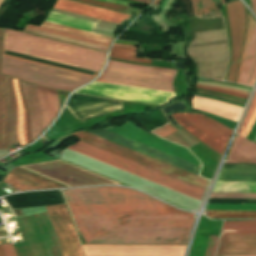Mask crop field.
<instances>
[{
    "instance_id": "crop-field-27",
    "label": "crop field",
    "mask_w": 256,
    "mask_h": 256,
    "mask_svg": "<svg viewBox=\"0 0 256 256\" xmlns=\"http://www.w3.org/2000/svg\"><path fill=\"white\" fill-rule=\"evenodd\" d=\"M256 56V22L254 21L253 31L249 42L240 84L246 85Z\"/></svg>"
},
{
    "instance_id": "crop-field-37",
    "label": "crop field",
    "mask_w": 256,
    "mask_h": 256,
    "mask_svg": "<svg viewBox=\"0 0 256 256\" xmlns=\"http://www.w3.org/2000/svg\"><path fill=\"white\" fill-rule=\"evenodd\" d=\"M252 26H253V18L249 15V28H248L247 39H246V43H245V48H244V53H243V58H242V62H241V67H240V72H239V77H238L237 83L239 82V78H240V75H241L242 66H243V62H244V58H245L249 38H250V35H251V31H252Z\"/></svg>"
},
{
    "instance_id": "crop-field-36",
    "label": "crop field",
    "mask_w": 256,
    "mask_h": 256,
    "mask_svg": "<svg viewBox=\"0 0 256 256\" xmlns=\"http://www.w3.org/2000/svg\"><path fill=\"white\" fill-rule=\"evenodd\" d=\"M219 236H210L205 256H215Z\"/></svg>"
},
{
    "instance_id": "crop-field-6",
    "label": "crop field",
    "mask_w": 256,
    "mask_h": 256,
    "mask_svg": "<svg viewBox=\"0 0 256 256\" xmlns=\"http://www.w3.org/2000/svg\"><path fill=\"white\" fill-rule=\"evenodd\" d=\"M25 62V61H24ZM2 57L1 74L71 92L91 78Z\"/></svg>"
},
{
    "instance_id": "crop-field-9",
    "label": "crop field",
    "mask_w": 256,
    "mask_h": 256,
    "mask_svg": "<svg viewBox=\"0 0 256 256\" xmlns=\"http://www.w3.org/2000/svg\"><path fill=\"white\" fill-rule=\"evenodd\" d=\"M75 93L157 105L168 103L169 99L175 96V94L171 92L99 82H93Z\"/></svg>"
},
{
    "instance_id": "crop-field-41",
    "label": "crop field",
    "mask_w": 256,
    "mask_h": 256,
    "mask_svg": "<svg viewBox=\"0 0 256 256\" xmlns=\"http://www.w3.org/2000/svg\"><path fill=\"white\" fill-rule=\"evenodd\" d=\"M255 119H256V110L252 116V118L250 119L246 129L244 130V132L242 133V136H244L246 138V136L248 135V133L250 132L254 122H255ZM241 135V134H240Z\"/></svg>"
},
{
    "instance_id": "crop-field-19",
    "label": "crop field",
    "mask_w": 256,
    "mask_h": 256,
    "mask_svg": "<svg viewBox=\"0 0 256 256\" xmlns=\"http://www.w3.org/2000/svg\"><path fill=\"white\" fill-rule=\"evenodd\" d=\"M27 27L53 33V34L66 36V37H71V38H75V39H79V40H83V41H87V42H91V43H95V44H99L107 47L112 41L110 37L86 32V31H82V30L46 22V21L43 22L41 27L30 25V24H28Z\"/></svg>"
},
{
    "instance_id": "crop-field-11",
    "label": "crop field",
    "mask_w": 256,
    "mask_h": 256,
    "mask_svg": "<svg viewBox=\"0 0 256 256\" xmlns=\"http://www.w3.org/2000/svg\"><path fill=\"white\" fill-rule=\"evenodd\" d=\"M85 256H183L186 246L82 245Z\"/></svg>"
},
{
    "instance_id": "crop-field-47",
    "label": "crop field",
    "mask_w": 256,
    "mask_h": 256,
    "mask_svg": "<svg viewBox=\"0 0 256 256\" xmlns=\"http://www.w3.org/2000/svg\"><path fill=\"white\" fill-rule=\"evenodd\" d=\"M133 1H137V2H141V3L150 4V2H151L152 0H133Z\"/></svg>"
},
{
    "instance_id": "crop-field-16",
    "label": "crop field",
    "mask_w": 256,
    "mask_h": 256,
    "mask_svg": "<svg viewBox=\"0 0 256 256\" xmlns=\"http://www.w3.org/2000/svg\"><path fill=\"white\" fill-rule=\"evenodd\" d=\"M4 181L21 191L68 187L19 167L9 172Z\"/></svg>"
},
{
    "instance_id": "crop-field-28",
    "label": "crop field",
    "mask_w": 256,
    "mask_h": 256,
    "mask_svg": "<svg viewBox=\"0 0 256 256\" xmlns=\"http://www.w3.org/2000/svg\"><path fill=\"white\" fill-rule=\"evenodd\" d=\"M212 192L256 193V183L217 182Z\"/></svg>"
},
{
    "instance_id": "crop-field-22",
    "label": "crop field",
    "mask_w": 256,
    "mask_h": 256,
    "mask_svg": "<svg viewBox=\"0 0 256 256\" xmlns=\"http://www.w3.org/2000/svg\"><path fill=\"white\" fill-rule=\"evenodd\" d=\"M18 103V136L21 146L30 143V120L26 102L24 100L20 83L13 79Z\"/></svg>"
},
{
    "instance_id": "crop-field-3",
    "label": "crop field",
    "mask_w": 256,
    "mask_h": 256,
    "mask_svg": "<svg viewBox=\"0 0 256 256\" xmlns=\"http://www.w3.org/2000/svg\"><path fill=\"white\" fill-rule=\"evenodd\" d=\"M68 149L91 157L128 173L134 174L176 192L182 193L197 200H201L204 189L181 181L149 167L143 166L106 150L100 149L83 141Z\"/></svg>"
},
{
    "instance_id": "crop-field-13",
    "label": "crop field",
    "mask_w": 256,
    "mask_h": 256,
    "mask_svg": "<svg viewBox=\"0 0 256 256\" xmlns=\"http://www.w3.org/2000/svg\"><path fill=\"white\" fill-rule=\"evenodd\" d=\"M105 129L201 166L200 162L189 150L151 136L129 122H126L121 127H107Z\"/></svg>"
},
{
    "instance_id": "crop-field-30",
    "label": "crop field",
    "mask_w": 256,
    "mask_h": 256,
    "mask_svg": "<svg viewBox=\"0 0 256 256\" xmlns=\"http://www.w3.org/2000/svg\"><path fill=\"white\" fill-rule=\"evenodd\" d=\"M110 57L125 59V60H132V61L143 62V63L151 62V60H148V59L136 58V50H131V49H122V48L112 47Z\"/></svg>"
},
{
    "instance_id": "crop-field-42",
    "label": "crop field",
    "mask_w": 256,
    "mask_h": 256,
    "mask_svg": "<svg viewBox=\"0 0 256 256\" xmlns=\"http://www.w3.org/2000/svg\"><path fill=\"white\" fill-rule=\"evenodd\" d=\"M255 80H256V60H255L254 67H253V70H252L251 75L249 77L247 85L253 86L254 83H255Z\"/></svg>"
},
{
    "instance_id": "crop-field-20",
    "label": "crop field",
    "mask_w": 256,
    "mask_h": 256,
    "mask_svg": "<svg viewBox=\"0 0 256 256\" xmlns=\"http://www.w3.org/2000/svg\"><path fill=\"white\" fill-rule=\"evenodd\" d=\"M20 83L30 112L31 138L34 141L44 131L37 87L22 81Z\"/></svg>"
},
{
    "instance_id": "crop-field-49",
    "label": "crop field",
    "mask_w": 256,
    "mask_h": 256,
    "mask_svg": "<svg viewBox=\"0 0 256 256\" xmlns=\"http://www.w3.org/2000/svg\"><path fill=\"white\" fill-rule=\"evenodd\" d=\"M161 0H155L153 5L158 6Z\"/></svg>"
},
{
    "instance_id": "crop-field-34",
    "label": "crop field",
    "mask_w": 256,
    "mask_h": 256,
    "mask_svg": "<svg viewBox=\"0 0 256 256\" xmlns=\"http://www.w3.org/2000/svg\"><path fill=\"white\" fill-rule=\"evenodd\" d=\"M210 198H239V199H256V194H240V193H212Z\"/></svg>"
},
{
    "instance_id": "crop-field-44",
    "label": "crop field",
    "mask_w": 256,
    "mask_h": 256,
    "mask_svg": "<svg viewBox=\"0 0 256 256\" xmlns=\"http://www.w3.org/2000/svg\"><path fill=\"white\" fill-rule=\"evenodd\" d=\"M197 85H199V86H209V85H200V84H197ZM210 87L221 88V89H225V90H229V91H233V92H237V93H242V94L249 95L248 92H244V91H240V90H235V89H230V88H224V87H218V86H210Z\"/></svg>"
},
{
    "instance_id": "crop-field-32",
    "label": "crop field",
    "mask_w": 256,
    "mask_h": 256,
    "mask_svg": "<svg viewBox=\"0 0 256 256\" xmlns=\"http://www.w3.org/2000/svg\"><path fill=\"white\" fill-rule=\"evenodd\" d=\"M207 210H251V211H256V205L208 204Z\"/></svg>"
},
{
    "instance_id": "crop-field-48",
    "label": "crop field",
    "mask_w": 256,
    "mask_h": 256,
    "mask_svg": "<svg viewBox=\"0 0 256 256\" xmlns=\"http://www.w3.org/2000/svg\"><path fill=\"white\" fill-rule=\"evenodd\" d=\"M113 46H122V47H132V48H136V46H128V45H117V44H113Z\"/></svg>"
},
{
    "instance_id": "crop-field-26",
    "label": "crop field",
    "mask_w": 256,
    "mask_h": 256,
    "mask_svg": "<svg viewBox=\"0 0 256 256\" xmlns=\"http://www.w3.org/2000/svg\"><path fill=\"white\" fill-rule=\"evenodd\" d=\"M240 158H256V144L239 135L234 143L229 160Z\"/></svg>"
},
{
    "instance_id": "crop-field-15",
    "label": "crop field",
    "mask_w": 256,
    "mask_h": 256,
    "mask_svg": "<svg viewBox=\"0 0 256 256\" xmlns=\"http://www.w3.org/2000/svg\"><path fill=\"white\" fill-rule=\"evenodd\" d=\"M52 11L61 13V14H65V15H69V16H74V17L94 21L97 23L95 24L94 22H90V21H86V20H82V19H78V18H73V17H69V16H65V15H61V14H57V13H53V12L49 13V15L45 19L46 21H50V22L86 30V31H89L92 28V26L95 24L93 26V28L90 30L91 32H95V33H99V34H103V35H107V36H111V37L113 36L116 26H117L116 24H112V23H108V22H104V21H100V20H96V19H92V18H88V17H83V16H79V15H75V14H71V13H67V12H63V11H59V10H55V9H52Z\"/></svg>"
},
{
    "instance_id": "crop-field-24",
    "label": "crop field",
    "mask_w": 256,
    "mask_h": 256,
    "mask_svg": "<svg viewBox=\"0 0 256 256\" xmlns=\"http://www.w3.org/2000/svg\"><path fill=\"white\" fill-rule=\"evenodd\" d=\"M6 95L8 103V128L10 146L18 143L17 136V104L13 90L12 78L7 76L6 80ZM9 138H8V151H9Z\"/></svg>"
},
{
    "instance_id": "crop-field-5",
    "label": "crop field",
    "mask_w": 256,
    "mask_h": 256,
    "mask_svg": "<svg viewBox=\"0 0 256 256\" xmlns=\"http://www.w3.org/2000/svg\"><path fill=\"white\" fill-rule=\"evenodd\" d=\"M48 256H62L48 213L34 215ZM34 216L15 219L23 243L13 244L17 256H47Z\"/></svg>"
},
{
    "instance_id": "crop-field-17",
    "label": "crop field",
    "mask_w": 256,
    "mask_h": 256,
    "mask_svg": "<svg viewBox=\"0 0 256 256\" xmlns=\"http://www.w3.org/2000/svg\"><path fill=\"white\" fill-rule=\"evenodd\" d=\"M256 254V234L221 236L216 256Z\"/></svg>"
},
{
    "instance_id": "crop-field-1",
    "label": "crop field",
    "mask_w": 256,
    "mask_h": 256,
    "mask_svg": "<svg viewBox=\"0 0 256 256\" xmlns=\"http://www.w3.org/2000/svg\"><path fill=\"white\" fill-rule=\"evenodd\" d=\"M63 192L86 244H187L193 214L126 188Z\"/></svg>"
},
{
    "instance_id": "crop-field-46",
    "label": "crop field",
    "mask_w": 256,
    "mask_h": 256,
    "mask_svg": "<svg viewBox=\"0 0 256 256\" xmlns=\"http://www.w3.org/2000/svg\"><path fill=\"white\" fill-rule=\"evenodd\" d=\"M250 2H251V5H252L254 11L256 12V0H250Z\"/></svg>"
},
{
    "instance_id": "crop-field-45",
    "label": "crop field",
    "mask_w": 256,
    "mask_h": 256,
    "mask_svg": "<svg viewBox=\"0 0 256 256\" xmlns=\"http://www.w3.org/2000/svg\"><path fill=\"white\" fill-rule=\"evenodd\" d=\"M101 1L112 2V3H117V4H121V5H126V6L132 5V4H129V3L118 2V1H112V0H101Z\"/></svg>"
},
{
    "instance_id": "crop-field-23",
    "label": "crop field",
    "mask_w": 256,
    "mask_h": 256,
    "mask_svg": "<svg viewBox=\"0 0 256 256\" xmlns=\"http://www.w3.org/2000/svg\"><path fill=\"white\" fill-rule=\"evenodd\" d=\"M40 105L42 110L44 128L50 124L60 111L57 92L54 89L38 86Z\"/></svg>"
},
{
    "instance_id": "crop-field-14",
    "label": "crop field",
    "mask_w": 256,
    "mask_h": 256,
    "mask_svg": "<svg viewBox=\"0 0 256 256\" xmlns=\"http://www.w3.org/2000/svg\"><path fill=\"white\" fill-rule=\"evenodd\" d=\"M225 6L232 40V61L227 82H235L243 42L245 12L240 1L226 3Z\"/></svg>"
},
{
    "instance_id": "crop-field-50",
    "label": "crop field",
    "mask_w": 256,
    "mask_h": 256,
    "mask_svg": "<svg viewBox=\"0 0 256 256\" xmlns=\"http://www.w3.org/2000/svg\"><path fill=\"white\" fill-rule=\"evenodd\" d=\"M0 256H4V253H3V251H2L1 244H0Z\"/></svg>"
},
{
    "instance_id": "crop-field-35",
    "label": "crop field",
    "mask_w": 256,
    "mask_h": 256,
    "mask_svg": "<svg viewBox=\"0 0 256 256\" xmlns=\"http://www.w3.org/2000/svg\"><path fill=\"white\" fill-rule=\"evenodd\" d=\"M255 107H256V92H255V94H254V96L252 98V101H251V103H250V105L248 107V110H247V112L245 114V117H244V119L242 121V124H241V126H240V128H239V130L237 132L238 134L242 133V131L245 128L246 124L248 123V121H249V119H250V117H251Z\"/></svg>"
},
{
    "instance_id": "crop-field-31",
    "label": "crop field",
    "mask_w": 256,
    "mask_h": 256,
    "mask_svg": "<svg viewBox=\"0 0 256 256\" xmlns=\"http://www.w3.org/2000/svg\"><path fill=\"white\" fill-rule=\"evenodd\" d=\"M207 216L222 218H255L256 212L247 211H207Z\"/></svg>"
},
{
    "instance_id": "crop-field-39",
    "label": "crop field",
    "mask_w": 256,
    "mask_h": 256,
    "mask_svg": "<svg viewBox=\"0 0 256 256\" xmlns=\"http://www.w3.org/2000/svg\"><path fill=\"white\" fill-rule=\"evenodd\" d=\"M176 132L169 124L153 131V133L157 134L158 136L164 138L172 133Z\"/></svg>"
},
{
    "instance_id": "crop-field-33",
    "label": "crop field",
    "mask_w": 256,
    "mask_h": 256,
    "mask_svg": "<svg viewBox=\"0 0 256 256\" xmlns=\"http://www.w3.org/2000/svg\"><path fill=\"white\" fill-rule=\"evenodd\" d=\"M83 3H88V4H93L99 7H104V8H109L118 12L124 13L126 11L127 7L126 6H121L117 4H111V3H105V2H100L96 0H75Z\"/></svg>"
},
{
    "instance_id": "crop-field-43",
    "label": "crop field",
    "mask_w": 256,
    "mask_h": 256,
    "mask_svg": "<svg viewBox=\"0 0 256 256\" xmlns=\"http://www.w3.org/2000/svg\"><path fill=\"white\" fill-rule=\"evenodd\" d=\"M226 163H250L256 164V159H240V160H231Z\"/></svg>"
},
{
    "instance_id": "crop-field-8",
    "label": "crop field",
    "mask_w": 256,
    "mask_h": 256,
    "mask_svg": "<svg viewBox=\"0 0 256 256\" xmlns=\"http://www.w3.org/2000/svg\"><path fill=\"white\" fill-rule=\"evenodd\" d=\"M172 117L190 134L222 154L233 130L204 115L173 114Z\"/></svg>"
},
{
    "instance_id": "crop-field-7",
    "label": "crop field",
    "mask_w": 256,
    "mask_h": 256,
    "mask_svg": "<svg viewBox=\"0 0 256 256\" xmlns=\"http://www.w3.org/2000/svg\"><path fill=\"white\" fill-rule=\"evenodd\" d=\"M21 168L27 169L68 186L119 184L62 160L21 166Z\"/></svg>"
},
{
    "instance_id": "crop-field-21",
    "label": "crop field",
    "mask_w": 256,
    "mask_h": 256,
    "mask_svg": "<svg viewBox=\"0 0 256 256\" xmlns=\"http://www.w3.org/2000/svg\"><path fill=\"white\" fill-rule=\"evenodd\" d=\"M192 104L194 109L202 110L205 112H209L232 121H237L242 108L237 106L208 100L200 97H193Z\"/></svg>"
},
{
    "instance_id": "crop-field-51",
    "label": "crop field",
    "mask_w": 256,
    "mask_h": 256,
    "mask_svg": "<svg viewBox=\"0 0 256 256\" xmlns=\"http://www.w3.org/2000/svg\"><path fill=\"white\" fill-rule=\"evenodd\" d=\"M249 256H256V255H249Z\"/></svg>"
},
{
    "instance_id": "crop-field-18",
    "label": "crop field",
    "mask_w": 256,
    "mask_h": 256,
    "mask_svg": "<svg viewBox=\"0 0 256 256\" xmlns=\"http://www.w3.org/2000/svg\"><path fill=\"white\" fill-rule=\"evenodd\" d=\"M55 9L83 15V16H88L112 23L119 24V22L123 19L129 18L128 15L68 1V0H57L55 6Z\"/></svg>"
},
{
    "instance_id": "crop-field-10",
    "label": "crop field",
    "mask_w": 256,
    "mask_h": 256,
    "mask_svg": "<svg viewBox=\"0 0 256 256\" xmlns=\"http://www.w3.org/2000/svg\"><path fill=\"white\" fill-rule=\"evenodd\" d=\"M71 134L81 140L88 142V143H91L93 145H96L98 147L106 149V150L116 153L118 155L124 156L126 158H129L131 160H134L136 162H139L141 164H144L146 166H149L151 168H154L156 170H159V171L169 174L171 176H174L176 178L182 179L184 181H187L189 183H192V184L202 187L204 189L206 188V186L209 182L200 177L194 176L192 174H189L187 172H184V171L174 168L172 166L166 165L164 163H161L159 161H156V160L146 157L144 155L138 154L136 152H133L131 150H128L126 148L118 146L116 144H113V143H110L103 139H100L88 132L86 133V132L82 131V132H75V133H71Z\"/></svg>"
},
{
    "instance_id": "crop-field-40",
    "label": "crop field",
    "mask_w": 256,
    "mask_h": 256,
    "mask_svg": "<svg viewBox=\"0 0 256 256\" xmlns=\"http://www.w3.org/2000/svg\"><path fill=\"white\" fill-rule=\"evenodd\" d=\"M5 256H16L15 250L12 244L2 245Z\"/></svg>"
},
{
    "instance_id": "crop-field-25",
    "label": "crop field",
    "mask_w": 256,
    "mask_h": 256,
    "mask_svg": "<svg viewBox=\"0 0 256 256\" xmlns=\"http://www.w3.org/2000/svg\"><path fill=\"white\" fill-rule=\"evenodd\" d=\"M4 28H0V64L2 55V38ZM5 75L0 74V149H7V104L5 96Z\"/></svg>"
},
{
    "instance_id": "crop-field-29",
    "label": "crop field",
    "mask_w": 256,
    "mask_h": 256,
    "mask_svg": "<svg viewBox=\"0 0 256 256\" xmlns=\"http://www.w3.org/2000/svg\"><path fill=\"white\" fill-rule=\"evenodd\" d=\"M253 228H256V220L225 222L223 230H241V229H253ZM247 233H256V229L235 231L234 234H247Z\"/></svg>"
},
{
    "instance_id": "crop-field-38",
    "label": "crop field",
    "mask_w": 256,
    "mask_h": 256,
    "mask_svg": "<svg viewBox=\"0 0 256 256\" xmlns=\"http://www.w3.org/2000/svg\"><path fill=\"white\" fill-rule=\"evenodd\" d=\"M197 89L211 90V91L223 93V94H226V95H230V96L241 98V99H245V100H247V98H248V96H246V95L237 94V93H233V92H229V91H225V90H221V89H216V88L199 87V86H197Z\"/></svg>"
},
{
    "instance_id": "crop-field-4",
    "label": "crop field",
    "mask_w": 256,
    "mask_h": 256,
    "mask_svg": "<svg viewBox=\"0 0 256 256\" xmlns=\"http://www.w3.org/2000/svg\"><path fill=\"white\" fill-rule=\"evenodd\" d=\"M176 71L109 60L96 81L174 92L172 82Z\"/></svg>"
},
{
    "instance_id": "crop-field-12",
    "label": "crop field",
    "mask_w": 256,
    "mask_h": 256,
    "mask_svg": "<svg viewBox=\"0 0 256 256\" xmlns=\"http://www.w3.org/2000/svg\"><path fill=\"white\" fill-rule=\"evenodd\" d=\"M47 208L60 241L63 255L83 256L80 241L66 206H51Z\"/></svg>"
},
{
    "instance_id": "crop-field-2",
    "label": "crop field",
    "mask_w": 256,
    "mask_h": 256,
    "mask_svg": "<svg viewBox=\"0 0 256 256\" xmlns=\"http://www.w3.org/2000/svg\"><path fill=\"white\" fill-rule=\"evenodd\" d=\"M3 49L99 72L105 53L5 29Z\"/></svg>"
}]
</instances>
